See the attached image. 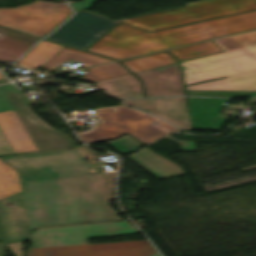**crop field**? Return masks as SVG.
<instances>
[{"instance_id": "d1516ede", "label": "crop field", "mask_w": 256, "mask_h": 256, "mask_svg": "<svg viewBox=\"0 0 256 256\" xmlns=\"http://www.w3.org/2000/svg\"><path fill=\"white\" fill-rule=\"evenodd\" d=\"M123 102L154 113L183 129H191L185 97L123 100Z\"/></svg>"}, {"instance_id": "8a807250", "label": "crop field", "mask_w": 256, "mask_h": 256, "mask_svg": "<svg viewBox=\"0 0 256 256\" xmlns=\"http://www.w3.org/2000/svg\"><path fill=\"white\" fill-rule=\"evenodd\" d=\"M95 156L84 145L72 149L5 156L15 167L23 191L0 200V229L5 242L29 240L30 227L120 219L108 206L114 198V174L103 164L89 166ZM13 202L5 206V202Z\"/></svg>"}, {"instance_id": "ac0d7876", "label": "crop field", "mask_w": 256, "mask_h": 256, "mask_svg": "<svg viewBox=\"0 0 256 256\" xmlns=\"http://www.w3.org/2000/svg\"><path fill=\"white\" fill-rule=\"evenodd\" d=\"M253 28H256V11L151 33L119 24L87 51L118 60Z\"/></svg>"}, {"instance_id": "a9b5d70f", "label": "crop field", "mask_w": 256, "mask_h": 256, "mask_svg": "<svg viewBox=\"0 0 256 256\" xmlns=\"http://www.w3.org/2000/svg\"><path fill=\"white\" fill-rule=\"evenodd\" d=\"M214 42L224 51L256 44V30L215 39Z\"/></svg>"}, {"instance_id": "bd1437ed", "label": "crop field", "mask_w": 256, "mask_h": 256, "mask_svg": "<svg viewBox=\"0 0 256 256\" xmlns=\"http://www.w3.org/2000/svg\"><path fill=\"white\" fill-rule=\"evenodd\" d=\"M252 168H256V165L255 166H251V167H247V168H243L241 170L244 171V170H248V169H252Z\"/></svg>"}, {"instance_id": "d32e631a", "label": "crop field", "mask_w": 256, "mask_h": 256, "mask_svg": "<svg viewBox=\"0 0 256 256\" xmlns=\"http://www.w3.org/2000/svg\"><path fill=\"white\" fill-rule=\"evenodd\" d=\"M3 78L1 75H0V79Z\"/></svg>"}, {"instance_id": "5a996713", "label": "crop field", "mask_w": 256, "mask_h": 256, "mask_svg": "<svg viewBox=\"0 0 256 256\" xmlns=\"http://www.w3.org/2000/svg\"><path fill=\"white\" fill-rule=\"evenodd\" d=\"M118 22L79 11L46 39L84 50Z\"/></svg>"}, {"instance_id": "dd49c442", "label": "crop field", "mask_w": 256, "mask_h": 256, "mask_svg": "<svg viewBox=\"0 0 256 256\" xmlns=\"http://www.w3.org/2000/svg\"><path fill=\"white\" fill-rule=\"evenodd\" d=\"M184 83L256 71V45L181 62Z\"/></svg>"}, {"instance_id": "4177f3b9", "label": "crop field", "mask_w": 256, "mask_h": 256, "mask_svg": "<svg viewBox=\"0 0 256 256\" xmlns=\"http://www.w3.org/2000/svg\"><path fill=\"white\" fill-rule=\"evenodd\" d=\"M187 95L211 96V97H252L256 92H238V91H187Z\"/></svg>"}, {"instance_id": "4a817a6b", "label": "crop field", "mask_w": 256, "mask_h": 256, "mask_svg": "<svg viewBox=\"0 0 256 256\" xmlns=\"http://www.w3.org/2000/svg\"><path fill=\"white\" fill-rule=\"evenodd\" d=\"M63 47V45L42 40L30 52L21 58L18 64L29 68L41 67Z\"/></svg>"}, {"instance_id": "e52e79f7", "label": "crop field", "mask_w": 256, "mask_h": 256, "mask_svg": "<svg viewBox=\"0 0 256 256\" xmlns=\"http://www.w3.org/2000/svg\"><path fill=\"white\" fill-rule=\"evenodd\" d=\"M71 13L64 3L35 0L16 8H0V25L41 37Z\"/></svg>"}, {"instance_id": "dafd665d", "label": "crop field", "mask_w": 256, "mask_h": 256, "mask_svg": "<svg viewBox=\"0 0 256 256\" xmlns=\"http://www.w3.org/2000/svg\"><path fill=\"white\" fill-rule=\"evenodd\" d=\"M168 51L173 54L177 59L183 61L212 53L222 52L223 50L213 41H209L200 44L171 49Z\"/></svg>"}, {"instance_id": "d3111659", "label": "crop field", "mask_w": 256, "mask_h": 256, "mask_svg": "<svg viewBox=\"0 0 256 256\" xmlns=\"http://www.w3.org/2000/svg\"><path fill=\"white\" fill-rule=\"evenodd\" d=\"M31 79H35V80H43V81H49V82H57V81H54V80H51V79H44V78H33V77H29Z\"/></svg>"}, {"instance_id": "d9b57169", "label": "crop field", "mask_w": 256, "mask_h": 256, "mask_svg": "<svg viewBox=\"0 0 256 256\" xmlns=\"http://www.w3.org/2000/svg\"><path fill=\"white\" fill-rule=\"evenodd\" d=\"M8 33L0 39V60L14 61L38 39L0 28ZM34 45V44H33Z\"/></svg>"}, {"instance_id": "34b2d1b8", "label": "crop field", "mask_w": 256, "mask_h": 256, "mask_svg": "<svg viewBox=\"0 0 256 256\" xmlns=\"http://www.w3.org/2000/svg\"><path fill=\"white\" fill-rule=\"evenodd\" d=\"M35 104V99L13 84L0 86V154L67 147L75 143L37 118L29 108Z\"/></svg>"}, {"instance_id": "214f88e0", "label": "crop field", "mask_w": 256, "mask_h": 256, "mask_svg": "<svg viewBox=\"0 0 256 256\" xmlns=\"http://www.w3.org/2000/svg\"><path fill=\"white\" fill-rule=\"evenodd\" d=\"M19 174L11 165L0 159V199L21 191Z\"/></svg>"}, {"instance_id": "d8731c3e", "label": "crop field", "mask_w": 256, "mask_h": 256, "mask_svg": "<svg viewBox=\"0 0 256 256\" xmlns=\"http://www.w3.org/2000/svg\"><path fill=\"white\" fill-rule=\"evenodd\" d=\"M139 233L126 221L38 229L29 237L31 247L88 243V238Z\"/></svg>"}, {"instance_id": "00972430", "label": "crop field", "mask_w": 256, "mask_h": 256, "mask_svg": "<svg viewBox=\"0 0 256 256\" xmlns=\"http://www.w3.org/2000/svg\"><path fill=\"white\" fill-rule=\"evenodd\" d=\"M90 72L85 73L84 76L80 77L84 80L95 82L107 78H112L116 76H121L129 74L130 72L125 69L118 62L105 64L97 67L88 68Z\"/></svg>"}, {"instance_id": "733c2abd", "label": "crop field", "mask_w": 256, "mask_h": 256, "mask_svg": "<svg viewBox=\"0 0 256 256\" xmlns=\"http://www.w3.org/2000/svg\"><path fill=\"white\" fill-rule=\"evenodd\" d=\"M95 84L115 97H143L140 83L132 74L95 82Z\"/></svg>"}, {"instance_id": "1d83c4d3", "label": "crop field", "mask_w": 256, "mask_h": 256, "mask_svg": "<svg viewBox=\"0 0 256 256\" xmlns=\"http://www.w3.org/2000/svg\"><path fill=\"white\" fill-rule=\"evenodd\" d=\"M5 82H8V81L6 80V78H5V79L0 80V83H5Z\"/></svg>"}, {"instance_id": "f4fd0767", "label": "crop field", "mask_w": 256, "mask_h": 256, "mask_svg": "<svg viewBox=\"0 0 256 256\" xmlns=\"http://www.w3.org/2000/svg\"><path fill=\"white\" fill-rule=\"evenodd\" d=\"M186 6L187 7L184 8L127 19L122 22L151 31L230 13L256 9V0H202L188 3Z\"/></svg>"}, {"instance_id": "28ad6ade", "label": "crop field", "mask_w": 256, "mask_h": 256, "mask_svg": "<svg viewBox=\"0 0 256 256\" xmlns=\"http://www.w3.org/2000/svg\"><path fill=\"white\" fill-rule=\"evenodd\" d=\"M134 75L144 83L146 97L184 95L179 63Z\"/></svg>"}, {"instance_id": "750c4746", "label": "crop field", "mask_w": 256, "mask_h": 256, "mask_svg": "<svg viewBox=\"0 0 256 256\" xmlns=\"http://www.w3.org/2000/svg\"><path fill=\"white\" fill-rule=\"evenodd\" d=\"M0 256H6L5 251L3 249V245L0 243Z\"/></svg>"}, {"instance_id": "120bbe31", "label": "crop field", "mask_w": 256, "mask_h": 256, "mask_svg": "<svg viewBox=\"0 0 256 256\" xmlns=\"http://www.w3.org/2000/svg\"><path fill=\"white\" fill-rule=\"evenodd\" d=\"M152 256H160L158 253H156V254H154V255H152Z\"/></svg>"}, {"instance_id": "cbeb9de0", "label": "crop field", "mask_w": 256, "mask_h": 256, "mask_svg": "<svg viewBox=\"0 0 256 256\" xmlns=\"http://www.w3.org/2000/svg\"><path fill=\"white\" fill-rule=\"evenodd\" d=\"M126 158L156 179L182 174L179 166L159 156L147 147Z\"/></svg>"}, {"instance_id": "22f410ed", "label": "crop field", "mask_w": 256, "mask_h": 256, "mask_svg": "<svg viewBox=\"0 0 256 256\" xmlns=\"http://www.w3.org/2000/svg\"><path fill=\"white\" fill-rule=\"evenodd\" d=\"M230 99H208L188 97L193 129L219 131L228 117L219 114L220 109Z\"/></svg>"}, {"instance_id": "412701ff", "label": "crop field", "mask_w": 256, "mask_h": 256, "mask_svg": "<svg viewBox=\"0 0 256 256\" xmlns=\"http://www.w3.org/2000/svg\"><path fill=\"white\" fill-rule=\"evenodd\" d=\"M95 117L101 120L93 130L79 134L86 143L114 139L128 133L143 144L179 130L148 113L131 109L125 105L94 109ZM158 122L153 124V122Z\"/></svg>"}, {"instance_id": "730fd06b", "label": "crop field", "mask_w": 256, "mask_h": 256, "mask_svg": "<svg viewBox=\"0 0 256 256\" xmlns=\"http://www.w3.org/2000/svg\"><path fill=\"white\" fill-rule=\"evenodd\" d=\"M107 143L118 151L122 150L126 155L132 152L133 150L143 146L141 143L134 140L128 135L114 141H109Z\"/></svg>"}, {"instance_id": "5142ce71", "label": "crop field", "mask_w": 256, "mask_h": 256, "mask_svg": "<svg viewBox=\"0 0 256 256\" xmlns=\"http://www.w3.org/2000/svg\"><path fill=\"white\" fill-rule=\"evenodd\" d=\"M187 90H239L256 91V72L229 77L223 80L186 86Z\"/></svg>"}, {"instance_id": "ae1a2a85", "label": "crop field", "mask_w": 256, "mask_h": 256, "mask_svg": "<svg viewBox=\"0 0 256 256\" xmlns=\"http://www.w3.org/2000/svg\"><path fill=\"white\" fill-rule=\"evenodd\" d=\"M167 138L172 141L180 143L182 149L195 150L194 141H181V140H177L171 136H169Z\"/></svg>"}, {"instance_id": "eef30255", "label": "crop field", "mask_w": 256, "mask_h": 256, "mask_svg": "<svg viewBox=\"0 0 256 256\" xmlns=\"http://www.w3.org/2000/svg\"><path fill=\"white\" fill-rule=\"evenodd\" d=\"M96 0H84L83 2H69L70 5L75 9H89Z\"/></svg>"}, {"instance_id": "3316defc", "label": "crop field", "mask_w": 256, "mask_h": 256, "mask_svg": "<svg viewBox=\"0 0 256 256\" xmlns=\"http://www.w3.org/2000/svg\"><path fill=\"white\" fill-rule=\"evenodd\" d=\"M156 253L147 240L97 243L43 249L31 248L27 256H150Z\"/></svg>"}, {"instance_id": "bc2a9ffb", "label": "crop field", "mask_w": 256, "mask_h": 256, "mask_svg": "<svg viewBox=\"0 0 256 256\" xmlns=\"http://www.w3.org/2000/svg\"><path fill=\"white\" fill-rule=\"evenodd\" d=\"M69 58L83 62V67L113 61L110 59H106L103 57L95 56L92 54L64 47L58 54H56L41 68L46 70H52L53 68H55L56 66H58L59 64H61Z\"/></svg>"}, {"instance_id": "92a150f3", "label": "crop field", "mask_w": 256, "mask_h": 256, "mask_svg": "<svg viewBox=\"0 0 256 256\" xmlns=\"http://www.w3.org/2000/svg\"><path fill=\"white\" fill-rule=\"evenodd\" d=\"M178 62L167 52L146 56L134 60L123 61L122 63L127 66L133 73L156 68L172 63Z\"/></svg>"}]
</instances>
